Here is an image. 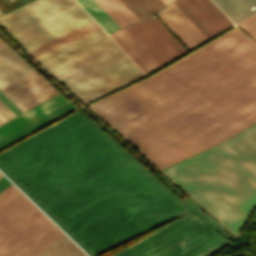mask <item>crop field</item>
<instances>
[{"label": "crop field", "instance_id": "obj_24", "mask_svg": "<svg viewBox=\"0 0 256 256\" xmlns=\"http://www.w3.org/2000/svg\"><path fill=\"white\" fill-rule=\"evenodd\" d=\"M238 26L256 41V14L237 24Z\"/></svg>", "mask_w": 256, "mask_h": 256}, {"label": "crop field", "instance_id": "obj_15", "mask_svg": "<svg viewBox=\"0 0 256 256\" xmlns=\"http://www.w3.org/2000/svg\"><path fill=\"white\" fill-rule=\"evenodd\" d=\"M68 102L60 95L48 100L47 102L37 106L36 108L26 112L25 114L15 118L0 127V138L13 132L14 130L24 126L25 124L35 120L36 118L46 114L47 112L57 108L58 106Z\"/></svg>", "mask_w": 256, "mask_h": 256}, {"label": "crop field", "instance_id": "obj_5", "mask_svg": "<svg viewBox=\"0 0 256 256\" xmlns=\"http://www.w3.org/2000/svg\"><path fill=\"white\" fill-rule=\"evenodd\" d=\"M75 2L35 0L1 16L0 24L28 51L92 21Z\"/></svg>", "mask_w": 256, "mask_h": 256}, {"label": "crop field", "instance_id": "obj_35", "mask_svg": "<svg viewBox=\"0 0 256 256\" xmlns=\"http://www.w3.org/2000/svg\"><path fill=\"white\" fill-rule=\"evenodd\" d=\"M0 42H2V41L0 40Z\"/></svg>", "mask_w": 256, "mask_h": 256}, {"label": "crop field", "instance_id": "obj_1", "mask_svg": "<svg viewBox=\"0 0 256 256\" xmlns=\"http://www.w3.org/2000/svg\"><path fill=\"white\" fill-rule=\"evenodd\" d=\"M0 153L2 170L89 255L205 256L226 241L78 109Z\"/></svg>", "mask_w": 256, "mask_h": 256}, {"label": "crop field", "instance_id": "obj_14", "mask_svg": "<svg viewBox=\"0 0 256 256\" xmlns=\"http://www.w3.org/2000/svg\"><path fill=\"white\" fill-rule=\"evenodd\" d=\"M100 29V27L94 22H90L82 27H79L69 33H66L54 40H51L41 46H38L30 51L28 53L35 59L54 51L66 44H69L83 36H86L96 30Z\"/></svg>", "mask_w": 256, "mask_h": 256}, {"label": "crop field", "instance_id": "obj_12", "mask_svg": "<svg viewBox=\"0 0 256 256\" xmlns=\"http://www.w3.org/2000/svg\"><path fill=\"white\" fill-rule=\"evenodd\" d=\"M31 71L33 69L8 46L0 49V88Z\"/></svg>", "mask_w": 256, "mask_h": 256}, {"label": "crop field", "instance_id": "obj_2", "mask_svg": "<svg viewBox=\"0 0 256 256\" xmlns=\"http://www.w3.org/2000/svg\"><path fill=\"white\" fill-rule=\"evenodd\" d=\"M91 106L163 169L256 121V44L234 27Z\"/></svg>", "mask_w": 256, "mask_h": 256}, {"label": "crop field", "instance_id": "obj_23", "mask_svg": "<svg viewBox=\"0 0 256 256\" xmlns=\"http://www.w3.org/2000/svg\"><path fill=\"white\" fill-rule=\"evenodd\" d=\"M116 43L128 54V56L140 67V69L145 73H151L145 65L132 53V51L120 40V38L115 34L110 35Z\"/></svg>", "mask_w": 256, "mask_h": 256}, {"label": "crop field", "instance_id": "obj_25", "mask_svg": "<svg viewBox=\"0 0 256 256\" xmlns=\"http://www.w3.org/2000/svg\"><path fill=\"white\" fill-rule=\"evenodd\" d=\"M112 5L125 17L130 23L138 21V19L130 12V10L120 0H109Z\"/></svg>", "mask_w": 256, "mask_h": 256}, {"label": "crop field", "instance_id": "obj_26", "mask_svg": "<svg viewBox=\"0 0 256 256\" xmlns=\"http://www.w3.org/2000/svg\"><path fill=\"white\" fill-rule=\"evenodd\" d=\"M0 115L7 121L16 116L5 104L0 101Z\"/></svg>", "mask_w": 256, "mask_h": 256}, {"label": "crop field", "instance_id": "obj_7", "mask_svg": "<svg viewBox=\"0 0 256 256\" xmlns=\"http://www.w3.org/2000/svg\"><path fill=\"white\" fill-rule=\"evenodd\" d=\"M137 71L139 69L121 52L61 82L80 98Z\"/></svg>", "mask_w": 256, "mask_h": 256}, {"label": "crop field", "instance_id": "obj_18", "mask_svg": "<svg viewBox=\"0 0 256 256\" xmlns=\"http://www.w3.org/2000/svg\"><path fill=\"white\" fill-rule=\"evenodd\" d=\"M115 33L134 52V54L146 65V67L151 72L161 67L125 28Z\"/></svg>", "mask_w": 256, "mask_h": 256}, {"label": "crop field", "instance_id": "obj_28", "mask_svg": "<svg viewBox=\"0 0 256 256\" xmlns=\"http://www.w3.org/2000/svg\"><path fill=\"white\" fill-rule=\"evenodd\" d=\"M0 9L6 13L12 9H14V7L12 5H10L6 0H0Z\"/></svg>", "mask_w": 256, "mask_h": 256}, {"label": "crop field", "instance_id": "obj_17", "mask_svg": "<svg viewBox=\"0 0 256 256\" xmlns=\"http://www.w3.org/2000/svg\"><path fill=\"white\" fill-rule=\"evenodd\" d=\"M36 256H87L64 234Z\"/></svg>", "mask_w": 256, "mask_h": 256}, {"label": "crop field", "instance_id": "obj_32", "mask_svg": "<svg viewBox=\"0 0 256 256\" xmlns=\"http://www.w3.org/2000/svg\"><path fill=\"white\" fill-rule=\"evenodd\" d=\"M2 46H4V43L2 42V43H0V47H2Z\"/></svg>", "mask_w": 256, "mask_h": 256}, {"label": "crop field", "instance_id": "obj_8", "mask_svg": "<svg viewBox=\"0 0 256 256\" xmlns=\"http://www.w3.org/2000/svg\"><path fill=\"white\" fill-rule=\"evenodd\" d=\"M126 29L161 66L187 52L154 16Z\"/></svg>", "mask_w": 256, "mask_h": 256}, {"label": "crop field", "instance_id": "obj_13", "mask_svg": "<svg viewBox=\"0 0 256 256\" xmlns=\"http://www.w3.org/2000/svg\"><path fill=\"white\" fill-rule=\"evenodd\" d=\"M74 109L75 108L69 102L58 107L57 109L47 113L46 115L36 119L35 121L0 139V149L10 145L11 143L21 139L22 137L32 133L33 131L41 128L42 126L52 122L53 120L63 116L64 114Z\"/></svg>", "mask_w": 256, "mask_h": 256}, {"label": "crop field", "instance_id": "obj_29", "mask_svg": "<svg viewBox=\"0 0 256 256\" xmlns=\"http://www.w3.org/2000/svg\"><path fill=\"white\" fill-rule=\"evenodd\" d=\"M11 183L3 176L0 178V191H2L4 188H6Z\"/></svg>", "mask_w": 256, "mask_h": 256}, {"label": "crop field", "instance_id": "obj_3", "mask_svg": "<svg viewBox=\"0 0 256 256\" xmlns=\"http://www.w3.org/2000/svg\"><path fill=\"white\" fill-rule=\"evenodd\" d=\"M163 171L237 235L256 203V123Z\"/></svg>", "mask_w": 256, "mask_h": 256}, {"label": "crop field", "instance_id": "obj_30", "mask_svg": "<svg viewBox=\"0 0 256 256\" xmlns=\"http://www.w3.org/2000/svg\"><path fill=\"white\" fill-rule=\"evenodd\" d=\"M166 5L172 2L173 0H162Z\"/></svg>", "mask_w": 256, "mask_h": 256}, {"label": "crop field", "instance_id": "obj_21", "mask_svg": "<svg viewBox=\"0 0 256 256\" xmlns=\"http://www.w3.org/2000/svg\"><path fill=\"white\" fill-rule=\"evenodd\" d=\"M143 76L144 75L142 74V72L139 71V72H137V73H135V74H133L131 76H128V77H126V78H124L122 80H119V81H117V82H115V83H113L111 85H108V86H106V87H104V88H102L100 90H97V91H95V92H93L91 94H88V95L80 98V100L83 103H87V102H89V101H91V100H93L95 98H98V97H100V96H102V95H104V94H106L108 92H111V91H113V90H115V89H117L119 87H122V86H124V85H126V84H128V83H130L132 81H135V80H137V79H139V78H141Z\"/></svg>", "mask_w": 256, "mask_h": 256}, {"label": "crop field", "instance_id": "obj_34", "mask_svg": "<svg viewBox=\"0 0 256 256\" xmlns=\"http://www.w3.org/2000/svg\"><path fill=\"white\" fill-rule=\"evenodd\" d=\"M3 175L0 173V177H2Z\"/></svg>", "mask_w": 256, "mask_h": 256}, {"label": "crop field", "instance_id": "obj_31", "mask_svg": "<svg viewBox=\"0 0 256 256\" xmlns=\"http://www.w3.org/2000/svg\"><path fill=\"white\" fill-rule=\"evenodd\" d=\"M6 122L1 116H0V124Z\"/></svg>", "mask_w": 256, "mask_h": 256}, {"label": "crop field", "instance_id": "obj_4", "mask_svg": "<svg viewBox=\"0 0 256 256\" xmlns=\"http://www.w3.org/2000/svg\"><path fill=\"white\" fill-rule=\"evenodd\" d=\"M62 234L12 184L0 193V256H34Z\"/></svg>", "mask_w": 256, "mask_h": 256}, {"label": "crop field", "instance_id": "obj_33", "mask_svg": "<svg viewBox=\"0 0 256 256\" xmlns=\"http://www.w3.org/2000/svg\"><path fill=\"white\" fill-rule=\"evenodd\" d=\"M3 14V12L0 10V15Z\"/></svg>", "mask_w": 256, "mask_h": 256}, {"label": "crop field", "instance_id": "obj_27", "mask_svg": "<svg viewBox=\"0 0 256 256\" xmlns=\"http://www.w3.org/2000/svg\"><path fill=\"white\" fill-rule=\"evenodd\" d=\"M0 100L5 103L16 115L20 114L21 112L12 104L10 103L1 93H0Z\"/></svg>", "mask_w": 256, "mask_h": 256}, {"label": "crop field", "instance_id": "obj_9", "mask_svg": "<svg viewBox=\"0 0 256 256\" xmlns=\"http://www.w3.org/2000/svg\"><path fill=\"white\" fill-rule=\"evenodd\" d=\"M173 3L208 39L233 25L210 0H176Z\"/></svg>", "mask_w": 256, "mask_h": 256}, {"label": "crop field", "instance_id": "obj_19", "mask_svg": "<svg viewBox=\"0 0 256 256\" xmlns=\"http://www.w3.org/2000/svg\"><path fill=\"white\" fill-rule=\"evenodd\" d=\"M131 12L139 19H144L164 6H166L161 0H121Z\"/></svg>", "mask_w": 256, "mask_h": 256}, {"label": "crop field", "instance_id": "obj_10", "mask_svg": "<svg viewBox=\"0 0 256 256\" xmlns=\"http://www.w3.org/2000/svg\"><path fill=\"white\" fill-rule=\"evenodd\" d=\"M0 90L22 111L57 94V92L35 71Z\"/></svg>", "mask_w": 256, "mask_h": 256}, {"label": "crop field", "instance_id": "obj_16", "mask_svg": "<svg viewBox=\"0 0 256 256\" xmlns=\"http://www.w3.org/2000/svg\"><path fill=\"white\" fill-rule=\"evenodd\" d=\"M234 22L237 23L255 13L249 7H256V0H213Z\"/></svg>", "mask_w": 256, "mask_h": 256}, {"label": "crop field", "instance_id": "obj_22", "mask_svg": "<svg viewBox=\"0 0 256 256\" xmlns=\"http://www.w3.org/2000/svg\"><path fill=\"white\" fill-rule=\"evenodd\" d=\"M103 10L115 21V23L120 27L129 25V23L124 19V17L111 5L108 0H95Z\"/></svg>", "mask_w": 256, "mask_h": 256}, {"label": "crop field", "instance_id": "obj_6", "mask_svg": "<svg viewBox=\"0 0 256 256\" xmlns=\"http://www.w3.org/2000/svg\"><path fill=\"white\" fill-rule=\"evenodd\" d=\"M100 29L37 61L59 80L111 57L121 50Z\"/></svg>", "mask_w": 256, "mask_h": 256}, {"label": "crop field", "instance_id": "obj_20", "mask_svg": "<svg viewBox=\"0 0 256 256\" xmlns=\"http://www.w3.org/2000/svg\"><path fill=\"white\" fill-rule=\"evenodd\" d=\"M107 32L120 29L94 0H77Z\"/></svg>", "mask_w": 256, "mask_h": 256}, {"label": "crop field", "instance_id": "obj_11", "mask_svg": "<svg viewBox=\"0 0 256 256\" xmlns=\"http://www.w3.org/2000/svg\"><path fill=\"white\" fill-rule=\"evenodd\" d=\"M156 14L190 50L208 40L173 3Z\"/></svg>", "mask_w": 256, "mask_h": 256}]
</instances>
